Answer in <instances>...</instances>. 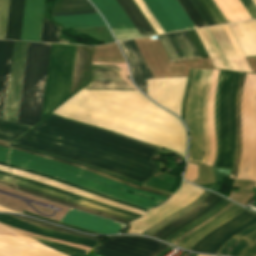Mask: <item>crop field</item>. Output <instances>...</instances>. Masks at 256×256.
<instances>
[{
  "label": "crop field",
  "mask_w": 256,
  "mask_h": 256,
  "mask_svg": "<svg viewBox=\"0 0 256 256\" xmlns=\"http://www.w3.org/2000/svg\"><path fill=\"white\" fill-rule=\"evenodd\" d=\"M49 121L83 132H87L99 137H103L115 142H119L128 146H132L144 151H148L153 154H155V152L158 150V147L141 143L121 135H117L85 124L73 122L54 115L48 116L43 122H41L39 125H37L28 133L20 137L15 142H13V144L78 161L89 166L144 184L158 170L154 159H151L152 157H150L152 156V154L142 152L124 145H120L105 139H101L83 132H79L61 125H57ZM47 122L49 123L46 124ZM43 125L45 126L42 127ZM39 128L41 129L38 130ZM35 131H37L35 134L42 135L67 144H71L112 158H116L128 163H132L137 166L142 164L149 157L150 158L142 165L137 167L61 142L35 135L33 134Z\"/></svg>",
  "instance_id": "obj_1"
},
{
  "label": "crop field",
  "mask_w": 256,
  "mask_h": 256,
  "mask_svg": "<svg viewBox=\"0 0 256 256\" xmlns=\"http://www.w3.org/2000/svg\"><path fill=\"white\" fill-rule=\"evenodd\" d=\"M9 164L46 175L58 177L95 192L102 193L109 197L126 201L146 209H149L162 202L155 201L140 195L155 198L161 201L166 199L164 197L143 192L74 167L11 149L9 153ZM121 189L140 195L132 194Z\"/></svg>",
  "instance_id": "obj_2"
},
{
  "label": "crop field",
  "mask_w": 256,
  "mask_h": 256,
  "mask_svg": "<svg viewBox=\"0 0 256 256\" xmlns=\"http://www.w3.org/2000/svg\"><path fill=\"white\" fill-rule=\"evenodd\" d=\"M51 44L29 43L17 122H40Z\"/></svg>",
  "instance_id": "obj_3"
},
{
  "label": "crop field",
  "mask_w": 256,
  "mask_h": 256,
  "mask_svg": "<svg viewBox=\"0 0 256 256\" xmlns=\"http://www.w3.org/2000/svg\"><path fill=\"white\" fill-rule=\"evenodd\" d=\"M240 73L223 71L218 98L219 156L214 167L232 169L236 155L235 102Z\"/></svg>",
  "instance_id": "obj_4"
},
{
  "label": "crop field",
  "mask_w": 256,
  "mask_h": 256,
  "mask_svg": "<svg viewBox=\"0 0 256 256\" xmlns=\"http://www.w3.org/2000/svg\"><path fill=\"white\" fill-rule=\"evenodd\" d=\"M242 150L236 179L256 180V74H247L242 102Z\"/></svg>",
  "instance_id": "obj_5"
},
{
  "label": "crop field",
  "mask_w": 256,
  "mask_h": 256,
  "mask_svg": "<svg viewBox=\"0 0 256 256\" xmlns=\"http://www.w3.org/2000/svg\"><path fill=\"white\" fill-rule=\"evenodd\" d=\"M75 49L53 45L43 117L69 98Z\"/></svg>",
  "instance_id": "obj_6"
},
{
  "label": "crop field",
  "mask_w": 256,
  "mask_h": 256,
  "mask_svg": "<svg viewBox=\"0 0 256 256\" xmlns=\"http://www.w3.org/2000/svg\"><path fill=\"white\" fill-rule=\"evenodd\" d=\"M207 70L193 69L191 89L186 106V125L190 132L188 160L200 162L204 149L202 133V102Z\"/></svg>",
  "instance_id": "obj_7"
},
{
  "label": "crop field",
  "mask_w": 256,
  "mask_h": 256,
  "mask_svg": "<svg viewBox=\"0 0 256 256\" xmlns=\"http://www.w3.org/2000/svg\"><path fill=\"white\" fill-rule=\"evenodd\" d=\"M169 245L139 236L107 238L93 252L107 256H157Z\"/></svg>",
  "instance_id": "obj_8"
},
{
  "label": "crop field",
  "mask_w": 256,
  "mask_h": 256,
  "mask_svg": "<svg viewBox=\"0 0 256 256\" xmlns=\"http://www.w3.org/2000/svg\"><path fill=\"white\" fill-rule=\"evenodd\" d=\"M15 183L17 185H20V186H23V187H26V188H29V189H33V190H36V191H39V192L57 197V198H61V199H64V200H67V201L85 206V207H89V208H92V209H95V210H98V211H101V212H104V213H107V214H110V215H113V216H117V217L129 220V221H133V220L137 219V218L132 217L128 214L121 213V212L109 209L107 207H104V206H101V205H98V204H95V203L80 200V199H77V198H74V197L56 192L54 190H51V189H48V188H45V187H42V186H39V185H36V184H33V183H29V182L22 181V180H19V179H15ZM20 186H17V189L19 191L29 193V194H32V195H35V196H38V197H41V198H44V199H48V200H51V201H54V202H57V203H60V204H63V205L81 210V211H84V212H87V213H91V214L111 218V219H114L116 221L122 222L124 224L129 223V221H126V220H123V219H120V218H117V217H113V216H110V215H107V214H104V213H101V212H98V211H95V210H92V209H89V208H85V207H82V206H79V205L61 200V199H57V198H54V197H51V196L33 191V190H29V189H26V188H23V187H20Z\"/></svg>",
  "instance_id": "obj_9"
},
{
  "label": "crop field",
  "mask_w": 256,
  "mask_h": 256,
  "mask_svg": "<svg viewBox=\"0 0 256 256\" xmlns=\"http://www.w3.org/2000/svg\"><path fill=\"white\" fill-rule=\"evenodd\" d=\"M0 256H66L0 224Z\"/></svg>",
  "instance_id": "obj_10"
},
{
  "label": "crop field",
  "mask_w": 256,
  "mask_h": 256,
  "mask_svg": "<svg viewBox=\"0 0 256 256\" xmlns=\"http://www.w3.org/2000/svg\"><path fill=\"white\" fill-rule=\"evenodd\" d=\"M125 76L126 64L93 63L90 84L82 90H137Z\"/></svg>",
  "instance_id": "obj_11"
},
{
  "label": "crop field",
  "mask_w": 256,
  "mask_h": 256,
  "mask_svg": "<svg viewBox=\"0 0 256 256\" xmlns=\"http://www.w3.org/2000/svg\"><path fill=\"white\" fill-rule=\"evenodd\" d=\"M254 223H256V214L245 210L206 235L190 250L215 254L225 241Z\"/></svg>",
  "instance_id": "obj_12"
},
{
  "label": "crop field",
  "mask_w": 256,
  "mask_h": 256,
  "mask_svg": "<svg viewBox=\"0 0 256 256\" xmlns=\"http://www.w3.org/2000/svg\"><path fill=\"white\" fill-rule=\"evenodd\" d=\"M165 33L193 29L177 0H143Z\"/></svg>",
  "instance_id": "obj_13"
},
{
  "label": "crop field",
  "mask_w": 256,
  "mask_h": 256,
  "mask_svg": "<svg viewBox=\"0 0 256 256\" xmlns=\"http://www.w3.org/2000/svg\"><path fill=\"white\" fill-rule=\"evenodd\" d=\"M28 43L15 42L5 120L16 122Z\"/></svg>",
  "instance_id": "obj_14"
},
{
  "label": "crop field",
  "mask_w": 256,
  "mask_h": 256,
  "mask_svg": "<svg viewBox=\"0 0 256 256\" xmlns=\"http://www.w3.org/2000/svg\"><path fill=\"white\" fill-rule=\"evenodd\" d=\"M111 29L134 28L116 0H91ZM117 40L140 37L136 29L112 30Z\"/></svg>",
  "instance_id": "obj_15"
},
{
  "label": "crop field",
  "mask_w": 256,
  "mask_h": 256,
  "mask_svg": "<svg viewBox=\"0 0 256 256\" xmlns=\"http://www.w3.org/2000/svg\"><path fill=\"white\" fill-rule=\"evenodd\" d=\"M171 63L201 59L188 32L158 36Z\"/></svg>",
  "instance_id": "obj_16"
},
{
  "label": "crop field",
  "mask_w": 256,
  "mask_h": 256,
  "mask_svg": "<svg viewBox=\"0 0 256 256\" xmlns=\"http://www.w3.org/2000/svg\"><path fill=\"white\" fill-rule=\"evenodd\" d=\"M61 222L101 234L118 233L124 225L94 215L70 209Z\"/></svg>",
  "instance_id": "obj_17"
},
{
  "label": "crop field",
  "mask_w": 256,
  "mask_h": 256,
  "mask_svg": "<svg viewBox=\"0 0 256 256\" xmlns=\"http://www.w3.org/2000/svg\"><path fill=\"white\" fill-rule=\"evenodd\" d=\"M131 67L133 80L147 94V79L153 78L134 40L119 42Z\"/></svg>",
  "instance_id": "obj_18"
},
{
  "label": "crop field",
  "mask_w": 256,
  "mask_h": 256,
  "mask_svg": "<svg viewBox=\"0 0 256 256\" xmlns=\"http://www.w3.org/2000/svg\"><path fill=\"white\" fill-rule=\"evenodd\" d=\"M45 0H26L21 40L40 42Z\"/></svg>",
  "instance_id": "obj_19"
},
{
  "label": "crop field",
  "mask_w": 256,
  "mask_h": 256,
  "mask_svg": "<svg viewBox=\"0 0 256 256\" xmlns=\"http://www.w3.org/2000/svg\"><path fill=\"white\" fill-rule=\"evenodd\" d=\"M0 222L8 224L13 227H17V228L29 231V232H33V233H37V234H41V235H45V236H49V237H54V238H58V239H62V240H66V241H70V242H74V243H78V244L89 246L92 248H94L97 244V242L92 241V240L41 229L37 226L27 224L25 222L19 221L15 218L7 216V215L0 214Z\"/></svg>",
  "instance_id": "obj_20"
},
{
  "label": "crop field",
  "mask_w": 256,
  "mask_h": 256,
  "mask_svg": "<svg viewBox=\"0 0 256 256\" xmlns=\"http://www.w3.org/2000/svg\"><path fill=\"white\" fill-rule=\"evenodd\" d=\"M92 50L77 46L71 95L88 83Z\"/></svg>",
  "instance_id": "obj_21"
},
{
  "label": "crop field",
  "mask_w": 256,
  "mask_h": 256,
  "mask_svg": "<svg viewBox=\"0 0 256 256\" xmlns=\"http://www.w3.org/2000/svg\"><path fill=\"white\" fill-rule=\"evenodd\" d=\"M236 205V204H235ZM232 206L229 208L227 211L222 213L220 216H218L216 219H214L212 222L209 224L203 226L199 230L191 233L189 236H187L184 240H182L177 246L183 247L186 249H190L198 240H200L203 236L214 230L216 227L224 223L225 221L235 217L238 215L240 212H242L244 209L237 207V206Z\"/></svg>",
  "instance_id": "obj_22"
},
{
  "label": "crop field",
  "mask_w": 256,
  "mask_h": 256,
  "mask_svg": "<svg viewBox=\"0 0 256 256\" xmlns=\"http://www.w3.org/2000/svg\"><path fill=\"white\" fill-rule=\"evenodd\" d=\"M25 0H10L5 39L20 40Z\"/></svg>",
  "instance_id": "obj_23"
},
{
  "label": "crop field",
  "mask_w": 256,
  "mask_h": 256,
  "mask_svg": "<svg viewBox=\"0 0 256 256\" xmlns=\"http://www.w3.org/2000/svg\"><path fill=\"white\" fill-rule=\"evenodd\" d=\"M14 42L5 41L0 72V118L3 119Z\"/></svg>",
  "instance_id": "obj_24"
},
{
  "label": "crop field",
  "mask_w": 256,
  "mask_h": 256,
  "mask_svg": "<svg viewBox=\"0 0 256 256\" xmlns=\"http://www.w3.org/2000/svg\"><path fill=\"white\" fill-rule=\"evenodd\" d=\"M219 70H213L212 83L209 91L208 99V127H209V138H210V155L206 164L212 165L216 155V138H215V125H214V98L217 87Z\"/></svg>",
  "instance_id": "obj_25"
},
{
  "label": "crop field",
  "mask_w": 256,
  "mask_h": 256,
  "mask_svg": "<svg viewBox=\"0 0 256 256\" xmlns=\"http://www.w3.org/2000/svg\"><path fill=\"white\" fill-rule=\"evenodd\" d=\"M53 19L66 28L106 25L99 14L60 16L53 17Z\"/></svg>",
  "instance_id": "obj_26"
},
{
  "label": "crop field",
  "mask_w": 256,
  "mask_h": 256,
  "mask_svg": "<svg viewBox=\"0 0 256 256\" xmlns=\"http://www.w3.org/2000/svg\"><path fill=\"white\" fill-rule=\"evenodd\" d=\"M117 2L138 30L141 37L154 34L131 0H117Z\"/></svg>",
  "instance_id": "obj_27"
},
{
  "label": "crop field",
  "mask_w": 256,
  "mask_h": 256,
  "mask_svg": "<svg viewBox=\"0 0 256 256\" xmlns=\"http://www.w3.org/2000/svg\"><path fill=\"white\" fill-rule=\"evenodd\" d=\"M217 198H218V196L210 193L209 196L201 204H199L196 208H194L192 211H190L189 213L185 214L184 216L176 219L175 221H173L172 223L168 224L167 226H165L161 230H159V231L155 232L154 234H152L151 236H153V237L158 239L159 237H161L166 232L172 230L173 228L179 226L180 224L188 221L192 217H194L197 214H199L202 210H204L207 206H209Z\"/></svg>",
  "instance_id": "obj_28"
},
{
  "label": "crop field",
  "mask_w": 256,
  "mask_h": 256,
  "mask_svg": "<svg viewBox=\"0 0 256 256\" xmlns=\"http://www.w3.org/2000/svg\"><path fill=\"white\" fill-rule=\"evenodd\" d=\"M31 127L0 120V140L11 143Z\"/></svg>",
  "instance_id": "obj_29"
},
{
  "label": "crop field",
  "mask_w": 256,
  "mask_h": 256,
  "mask_svg": "<svg viewBox=\"0 0 256 256\" xmlns=\"http://www.w3.org/2000/svg\"><path fill=\"white\" fill-rule=\"evenodd\" d=\"M229 203H230L229 201L223 199L221 202H219L215 207H213L207 213L203 214L201 217H199L197 220L190 223L186 227L178 230L176 233H174L173 235H171L170 237L165 239V241H168V242L172 243L174 240H176L181 235L185 234L186 232H188L189 230H191L195 226H197V225L203 223L204 221H206L207 219H209L211 216H213L215 213H217L219 210H221L223 207H225Z\"/></svg>",
  "instance_id": "obj_30"
},
{
  "label": "crop field",
  "mask_w": 256,
  "mask_h": 256,
  "mask_svg": "<svg viewBox=\"0 0 256 256\" xmlns=\"http://www.w3.org/2000/svg\"><path fill=\"white\" fill-rule=\"evenodd\" d=\"M256 229V224L252 225L251 227L245 229L244 231L236 234L232 237L218 252L217 254L227 255L229 247L232 248L229 256H237L240 252H242L246 247L247 244L243 241L239 240L244 235L250 233L251 231ZM237 242L238 244L234 246L233 244Z\"/></svg>",
  "instance_id": "obj_31"
},
{
  "label": "crop field",
  "mask_w": 256,
  "mask_h": 256,
  "mask_svg": "<svg viewBox=\"0 0 256 256\" xmlns=\"http://www.w3.org/2000/svg\"><path fill=\"white\" fill-rule=\"evenodd\" d=\"M246 74L241 73L240 75V81H239V88H238V96H237V102H236V125H237V156L236 161L234 164L233 172L230 178H234L236 168L240 159V149H241V122H240V101H241V93H242V86L244 77Z\"/></svg>",
  "instance_id": "obj_32"
},
{
  "label": "crop field",
  "mask_w": 256,
  "mask_h": 256,
  "mask_svg": "<svg viewBox=\"0 0 256 256\" xmlns=\"http://www.w3.org/2000/svg\"><path fill=\"white\" fill-rule=\"evenodd\" d=\"M211 74H212V70H208V76H207L206 87H205V96H204V102H203V113H202L203 133L205 138V150H204V155L201 162L204 164L206 163L208 154H209V140H208V133H207L206 110H207L208 90L211 82Z\"/></svg>",
  "instance_id": "obj_33"
},
{
  "label": "crop field",
  "mask_w": 256,
  "mask_h": 256,
  "mask_svg": "<svg viewBox=\"0 0 256 256\" xmlns=\"http://www.w3.org/2000/svg\"><path fill=\"white\" fill-rule=\"evenodd\" d=\"M209 193H203L201 195V197L196 200L195 202H193L191 205H189L188 207L178 211L177 213L173 214L172 216H170L169 218L165 219L164 221L158 223L157 225L153 226L152 228H150L149 230H147L146 232L142 233V234H145V235H150L152 234L153 232H155L156 230H158L159 228H161L162 226L168 224L169 222L175 220L176 218L182 216L183 214L189 212L191 209H193L195 206H197L199 203H201L205 198L206 196L208 195Z\"/></svg>",
  "instance_id": "obj_34"
},
{
  "label": "crop field",
  "mask_w": 256,
  "mask_h": 256,
  "mask_svg": "<svg viewBox=\"0 0 256 256\" xmlns=\"http://www.w3.org/2000/svg\"><path fill=\"white\" fill-rule=\"evenodd\" d=\"M60 29V26L43 21L41 42L59 43V39L61 36Z\"/></svg>",
  "instance_id": "obj_35"
},
{
  "label": "crop field",
  "mask_w": 256,
  "mask_h": 256,
  "mask_svg": "<svg viewBox=\"0 0 256 256\" xmlns=\"http://www.w3.org/2000/svg\"><path fill=\"white\" fill-rule=\"evenodd\" d=\"M182 8L185 10L191 21L194 23L196 28L206 27L207 24L204 22L202 17L199 15L197 10L194 8L190 0H178Z\"/></svg>",
  "instance_id": "obj_36"
},
{
  "label": "crop field",
  "mask_w": 256,
  "mask_h": 256,
  "mask_svg": "<svg viewBox=\"0 0 256 256\" xmlns=\"http://www.w3.org/2000/svg\"><path fill=\"white\" fill-rule=\"evenodd\" d=\"M9 216L15 217L17 219H20L22 221H25V222H28V223H31V224H34V225H37L41 228H45V229H49V230H53V231H58V232H64V233H68V234H72V235H77V236H81V237H85V238H88V239L95 240L97 242L102 240L101 238L91 237V236H87V235H84V234L72 232V231H69V230L57 228V227H54V226H51V225H48V224H45V223H42V222L31 220L29 218H25V217H21V216H14V215H9Z\"/></svg>",
  "instance_id": "obj_37"
},
{
  "label": "crop field",
  "mask_w": 256,
  "mask_h": 256,
  "mask_svg": "<svg viewBox=\"0 0 256 256\" xmlns=\"http://www.w3.org/2000/svg\"><path fill=\"white\" fill-rule=\"evenodd\" d=\"M94 9L87 0H63L59 11Z\"/></svg>",
  "instance_id": "obj_38"
},
{
  "label": "crop field",
  "mask_w": 256,
  "mask_h": 256,
  "mask_svg": "<svg viewBox=\"0 0 256 256\" xmlns=\"http://www.w3.org/2000/svg\"><path fill=\"white\" fill-rule=\"evenodd\" d=\"M10 147H11V146H10ZM11 148H12V149H16V150H20V151H23V152H27V153H30V154H34V155H37V156L45 157V156H42V155H39V154H36V153H32V152H28V151L21 150V149H18V148H14V147H11ZM45 158H48V159H51V160H55V161H58V162H61V163H64V164H68V165H71V166H74V167H77V168H80V169H83V170H86V171H89V172H93V173L99 174V175H101V176H104V177L110 178V179H112V180H115V181H118V182L127 184V185H129V186L135 187V188L140 189V190H143V191H147V192H150V193H153V194H157V195L169 197L168 195H164V194H161V193H158V192H154V191H151V190H147V189H144V188H141V187H138V186H135V185H132V184L123 182V181H121V180H118V179H115V178L106 176V175L101 174V173H99V172H96V171H94V170H90V169H86V168L80 167V166L75 165V164H71V163H68V162L60 161V160L53 159V158H49V157H45Z\"/></svg>",
  "instance_id": "obj_39"
},
{
  "label": "crop field",
  "mask_w": 256,
  "mask_h": 256,
  "mask_svg": "<svg viewBox=\"0 0 256 256\" xmlns=\"http://www.w3.org/2000/svg\"><path fill=\"white\" fill-rule=\"evenodd\" d=\"M242 240L248 243V247L239 256H256V231L244 236Z\"/></svg>",
  "instance_id": "obj_40"
},
{
  "label": "crop field",
  "mask_w": 256,
  "mask_h": 256,
  "mask_svg": "<svg viewBox=\"0 0 256 256\" xmlns=\"http://www.w3.org/2000/svg\"><path fill=\"white\" fill-rule=\"evenodd\" d=\"M9 0H0V39H4Z\"/></svg>",
  "instance_id": "obj_41"
},
{
  "label": "crop field",
  "mask_w": 256,
  "mask_h": 256,
  "mask_svg": "<svg viewBox=\"0 0 256 256\" xmlns=\"http://www.w3.org/2000/svg\"><path fill=\"white\" fill-rule=\"evenodd\" d=\"M203 3L206 5L208 10L211 12L215 20L218 22V24L226 23L227 20L222 15L216 4L213 2V0H202Z\"/></svg>",
  "instance_id": "obj_42"
},
{
  "label": "crop field",
  "mask_w": 256,
  "mask_h": 256,
  "mask_svg": "<svg viewBox=\"0 0 256 256\" xmlns=\"http://www.w3.org/2000/svg\"><path fill=\"white\" fill-rule=\"evenodd\" d=\"M9 166H10V165H9ZM10 167H11V168L18 169V170H22V171H26V172H30V173H34V174H38V175H42V174H39V173H35V172L28 171V170H24V169H21V168H17V167H13V166H10ZM42 176H45V177H47V178L53 179V180L58 181V182H61V183H63V184H66V185H69V186H72V187H75V188H78V189H81V190H84V191H87V192H90V193H93V194H96V195H99V196H102V197H104V198H107V199H110V200H113V201H116V202H119V203H122V204H125V205H128V206L136 207V206L127 204V203H125V202L118 201V200H114V199H111V198H109V197L100 195V194H98V193L91 192V191H89V190L83 189V188H81V187L75 186V185H73V184L67 183V182H65V181L59 180V179L54 178V177H50V176H46V175H42ZM136 208H138V209H140V210L146 212V210H144V209H142V208H139V207H136Z\"/></svg>",
  "instance_id": "obj_43"
},
{
  "label": "crop field",
  "mask_w": 256,
  "mask_h": 256,
  "mask_svg": "<svg viewBox=\"0 0 256 256\" xmlns=\"http://www.w3.org/2000/svg\"><path fill=\"white\" fill-rule=\"evenodd\" d=\"M13 177L20 178V179H24V180H27V181H30V182H33V183H36V184H39V185H42V186H45V187L54 189V190H57V191H59V192H62V193H65V194H68V195H71V196H74V197H77V198H80V199H84V200H88V201H91V202H95V203H98V204H101V205H104V206H107V207H110V208H113V209H116V210H119V211L128 213V214L133 215V216H135V217H137V218L140 217V216H138V215H135V214H133V213L127 212V211H125V210L118 209V208H115V207H112V206H108V205H105V204H102V203H99V202H96V201H93V200H90V199H87V198H84V197H81V196L72 194V193H69V192H66V191H62V190H59V189H56V188L47 186V185L42 184V183H38V182H35V181H32V180H28V179H25V178H22V177H18V176H15V175H13Z\"/></svg>",
  "instance_id": "obj_44"
},
{
  "label": "crop field",
  "mask_w": 256,
  "mask_h": 256,
  "mask_svg": "<svg viewBox=\"0 0 256 256\" xmlns=\"http://www.w3.org/2000/svg\"><path fill=\"white\" fill-rule=\"evenodd\" d=\"M11 146L18 147V148L25 149V150H29V151H33V150H30V149H27V148H23V147H20V146H17V145H13V144H11ZM33 152L40 153V152H37V151H33ZM40 154H43V155H46V156H50V157H53V158L62 159V160L68 161V162H72V163H75V164L81 165V166H83V167L91 168V167H89V166L83 165V164L78 163V162H74V161L66 160V159H63V158H59V157H55V156H51V155L44 154V153H40ZM91 169H94V168H91ZM94 170L99 171V170H97V169H94ZM99 172L104 173V174L109 175V176H112V177H115V178H118V179H121V180H124V181L129 182V183H132V184H136V185H139V186H141V185H142V184H140V183H135V182H133V181H130V180H127V179H124V178L118 177V176L113 175V174L105 173V172H102V171H99Z\"/></svg>",
  "instance_id": "obj_45"
},
{
  "label": "crop field",
  "mask_w": 256,
  "mask_h": 256,
  "mask_svg": "<svg viewBox=\"0 0 256 256\" xmlns=\"http://www.w3.org/2000/svg\"><path fill=\"white\" fill-rule=\"evenodd\" d=\"M191 2H192L193 5L196 7V9L198 10V12L201 14V16L203 17V19L205 20V22L208 24V26L215 25V22L212 20V18H211L210 15L207 13V11H206L205 8L202 6V4L200 3L199 0H191Z\"/></svg>",
  "instance_id": "obj_46"
},
{
  "label": "crop field",
  "mask_w": 256,
  "mask_h": 256,
  "mask_svg": "<svg viewBox=\"0 0 256 256\" xmlns=\"http://www.w3.org/2000/svg\"><path fill=\"white\" fill-rule=\"evenodd\" d=\"M222 198H218L215 202H213L208 208H206L203 212H201L199 215H197L196 217L192 218L191 220H189L188 222L182 224L181 226L173 229L172 231L166 233L163 237H161L160 239L164 240L165 238H167L169 235H171L174 231L180 229L181 227L189 224L190 222H192L193 220H195L197 217H199L200 215H202L203 213H205L206 211H208L209 209H211L213 206H215L219 201H221Z\"/></svg>",
  "instance_id": "obj_47"
},
{
  "label": "crop field",
  "mask_w": 256,
  "mask_h": 256,
  "mask_svg": "<svg viewBox=\"0 0 256 256\" xmlns=\"http://www.w3.org/2000/svg\"><path fill=\"white\" fill-rule=\"evenodd\" d=\"M184 178L186 180H194L195 178H197V168H196V165L194 164H190L188 163V167H187V170L184 174Z\"/></svg>",
  "instance_id": "obj_48"
},
{
  "label": "crop field",
  "mask_w": 256,
  "mask_h": 256,
  "mask_svg": "<svg viewBox=\"0 0 256 256\" xmlns=\"http://www.w3.org/2000/svg\"><path fill=\"white\" fill-rule=\"evenodd\" d=\"M252 19L256 18V7L251 0H240Z\"/></svg>",
  "instance_id": "obj_49"
},
{
  "label": "crop field",
  "mask_w": 256,
  "mask_h": 256,
  "mask_svg": "<svg viewBox=\"0 0 256 256\" xmlns=\"http://www.w3.org/2000/svg\"><path fill=\"white\" fill-rule=\"evenodd\" d=\"M233 204H229V205H227L225 208H223L221 211H219L216 215H214L212 218H210L209 220H207L205 223H203L202 225H200V226H198V227H196V228H194L193 230H191L189 233H187L186 235H184V236H182V237H180V238H178L175 242H173V244H177V243H179L182 239H184L187 235H189L191 232H193V231H195V230H197L198 228H200V227H202L204 224H206V223H208V222H210L211 220H213L215 217H217L219 214H221L222 212H224L225 210H227L229 207H231Z\"/></svg>",
  "instance_id": "obj_50"
},
{
  "label": "crop field",
  "mask_w": 256,
  "mask_h": 256,
  "mask_svg": "<svg viewBox=\"0 0 256 256\" xmlns=\"http://www.w3.org/2000/svg\"><path fill=\"white\" fill-rule=\"evenodd\" d=\"M23 212H24V214L31 215V216H35V217H38V218H41V219H44V220H48V221H51V222H54V223L63 225V226H65V227H68V228H71V229H74V230H79V231H83V232H87V233H91V234H97V233H94V232H92V231L85 230V229H82V228H79V227H75V226L67 225V224H64V223H61V222H57V221L49 220V219H46V218H42V217H39V216H37V215H33V214H30V213H27V212H25V211H23Z\"/></svg>",
  "instance_id": "obj_51"
},
{
  "label": "crop field",
  "mask_w": 256,
  "mask_h": 256,
  "mask_svg": "<svg viewBox=\"0 0 256 256\" xmlns=\"http://www.w3.org/2000/svg\"><path fill=\"white\" fill-rule=\"evenodd\" d=\"M191 73H192V69L189 70L188 80H187V86H186V92H185V97H184V101H183V105H182L181 118H182L184 121H185L186 99H187V95H188V91H189V86H190V82H191Z\"/></svg>",
  "instance_id": "obj_52"
},
{
  "label": "crop field",
  "mask_w": 256,
  "mask_h": 256,
  "mask_svg": "<svg viewBox=\"0 0 256 256\" xmlns=\"http://www.w3.org/2000/svg\"><path fill=\"white\" fill-rule=\"evenodd\" d=\"M0 180L6 181V182H9V183H13V180L10 176H6V175H3V174H0ZM3 181H0L1 185L7 186V187L12 188V189H15V186L13 185L14 183L9 184V183L3 182Z\"/></svg>",
  "instance_id": "obj_53"
},
{
  "label": "crop field",
  "mask_w": 256,
  "mask_h": 256,
  "mask_svg": "<svg viewBox=\"0 0 256 256\" xmlns=\"http://www.w3.org/2000/svg\"><path fill=\"white\" fill-rule=\"evenodd\" d=\"M91 13H97V11L89 10V11L63 12V13H51V14L52 16H60V15L91 14Z\"/></svg>",
  "instance_id": "obj_54"
},
{
  "label": "crop field",
  "mask_w": 256,
  "mask_h": 256,
  "mask_svg": "<svg viewBox=\"0 0 256 256\" xmlns=\"http://www.w3.org/2000/svg\"><path fill=\"white\" fill-rule=\"evenodd\" d=\"M8 149L0 147V162L7 164Z\"/></svg>",
  "instance_id": "obj_55"
},
{
  "label": "crop field",
  "mask_w": 256,
  "mask_h": 256,
  "mask_svg": "<svg viewBox=\"0 0 256 256\" xmlns=\"http://www.w3.org/2000/svg\"><path fill=\"white\" fill-rule=\"evenodd\" d=\"M3 44H4V41H0V64H1V57H2Z\"/></svg>",
  "instance_id": "obj_56"
},
{
  "label": "crop field",
  "mask_w": 256,
  "mask_h": 256,
  "mask_svg": "<svg viewBox=\"0 0 256 256\" xmlns=\"http://www.w3.org/2000/svg\"><path fill=\"white\" fill-rule=\"evenodd\" d=\"M173 247H169L168 249H166L164 252H162L160 255H158V256H162L163 254H165L166 252H168L169 250H171Z\"/></svg>",
  "instance_id": "obj_57"
},
{
  "label": "crop field",
  "mask_w": 256,
  "mask_h": 256,
  "mask_svg": "<svg viewBox=\"0 0 256 256\" xmlns=\"http://www.w3.org/2000/svg\"><path fill=\"white\" fill-rule=\"evenodd\" d=\"M0 173H3V174H6V175H10V176H11L10 173H6V172H2V171H0Z\"/></svg>",
  "instance_id": "obj_58"
},
{
  "label": "crop field",
  "mask_w": 256,
  "mask_h": 256,
  "mask_svg": "<svg viewBox=\"0 0 256 256\" xmlns=\"http://www.w3.org/2000/svg\"><path fill=\"white\" fill-rule=\"evenodd\" d=\"M0 146L8 147L7 145H4V144H0Z\"/></svg>",
  "instance_id": "obj_59"
},
{
  "label": "crop field",
  "mask_w": 256,
  "mask_h": 256,
  "mask_svg": "<svg viewBox=\"0 0 256 256\" xmlns=\"http://www.w3.org/2000/svg\"><path fill=\"white\" fill-rule=\"evenodd\" d=\"M0 165L7 166L6 164L0 163ZM8 167V166H7Z\"/></svg>",
  "instance_id": "obj_60"
}]
</instances>
